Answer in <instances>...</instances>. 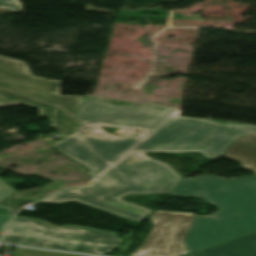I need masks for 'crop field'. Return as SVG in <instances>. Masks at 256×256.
Segmentation results:
<instances>
[{"mask_svg":"<svg viewBox=\"0 0 256 256\" xmlns=\"http://www.w3.org/2000/svg\"><path fill=\"white\" fill-rule=\"evenodd\" d=\"M176 110L157 105L114 106L84 98L75 119L84 125L107 124L153 129L133 152H195L215 160L239 137L256 133V125L226 126L201 119L170 116Z\"/></svg>","mask_w":256,"mask_h":256,"instance_id":"8a807250","label":"crop field"},{"mask_svg":"<svg viewBox=\"0 0 256 256\" xmlns=\"http://www.w3.org/2000/svg\"><path fill=\"white\" fill-rule=\"evenodd\" d=\"M170 194L200 197L219 208L194 217L186 239L189 253L256 231V177L181 179Z\"/></svg>","mask_w":256,"mask_h":256,"instance_id":"ac0d7876","label":"crop field"},{"mask_svg":"<svg viewBox=\"0 0 256 256\" xmlns=\"http://www.w3.org/2000/svg\"><path fill=\"white\" fill-rule=\"evenodd\" d=\"M9 237L2 242L28 246L67 249L95 254H108L122 238L117 233L88 227H56L43 220L15 217L7 229Z\"/></svg>","mask_w":256,"mask_h":256,"instance_id":"34b2d1b8","label":"crop field"},{"mask_svg":"<svg viewBox=\"0 0 256 256\" xmlns=\"http://www.w3.org/2000/svg\"><path fill=\"white\" fill-rule=\"evenodd\" d=\"M59 81L31 74L26 63L0 56V88L12 91L52 106L0 90V106L25 105L41 110L40 115L52 119L60 95Z\"/></svg>","mask_w":256,"mask_h":256,"instance_id":"412701ff","label":"crop field"},{"mask_svg":"<svg viewBox=\"0 0 256 256\" xmlns=\"http://www.w3.org/2000/svg\"><path fill=\"white\" fill-rule=\"evenodd\" d=\"M135 154L137 153L127 152L113 164L114 167L124 174L129 186L104 197L103 200L148 215L152 212L125 202L121 200V197L127 194L169 193L177 185L181 177L170 166L153 159L128 164L127 161Z\"/></svg>","mask_w":256,"mask_h":256,"instance_id":"f4fd0767","label":"crop field"},{"mask_svg":"<svg viewBox=\"0 0 256 256\" xmlns=\"http://www.w3.org/2000/svg\"><path fill=\"white\" fill-rule=\"evenodd\" d=\"M195 214L157 211L144 244L130 256H179L187 254L185 239Z\"/></svg>","mask_w":256,"mask_h":256,"instance_id":"dd49c442","label":"crop field"},{"mask_svg":"<svg viewBox=\"0 0 256 256\" xmlns=\"http://www.w3.org/2000/svg\"><path fill=\"white\" fill-rule=\"evenodd\" d=\"M108 178L114 179L115 184L110 186H103L102 184L105 183L106 179ZM124 186H126V183L123 179V176L111 166L92 185L69 189L42 201L64 202L75 200L80 203L139 222L146 216L141 213L120 206H116L101 200L102 196Z\"/></svg>","mask_w":256,"mask_h":256,"instance_id":"e52e79f7","label":"crop field"},{"mask_svg":"<svg viewBox=\"0 0 256 256\" xmlns=\"http://www.w3.org/2000/svg\"><path fill=\"white\" fill-rule=\"evenodd\" d=\"M53 147L65 153L70 158L85 164L90 169L92 180L110 165L75 136L62 141Z\"/></svg>","mask_w":256,"mask_h":256,"instance_id":"d8731c3e","label":"crop field"},{"mask_svg":"<svg viewBox=\"0 0 256 256\" xmlns=\"http://www.w3.org/2000/svg\"><path fill=\"white\" fill-rule=\"evenodd\" d=\"M75 134L83 139L89 146H91L111 164L143 138L129 135H126L122 139L99 138L92 137L79 129Z\"/></svg>","mask_w":256,"mask_h":256,"instance_id":"5a996713","label":"crop field"},{"mask_svg":"<svg viewBox=\"0 0 256 256\" xmlns=\"http://www.w3.org/2000/svg\"><path fill=\"white\" fill-rule=\"evenodd\" d=\"M189 256H256V233L190 254Z\"/></svg>","mask_w":256,"mask_h":256,"instance_id":"3316defc","label":"crop field"},{"mask_svg":"<svg viewBox=\"0 0 256 256\" xmlns=\"http://www.w3.org/2000/svg\"><path fill=\"white\" fill-rule=\"evenodd\" d=\"M222 156L241 162V166L252 169L256 175V134L239 138Z\"/></svg>","mask_w":256,"mask_h":256,"instance_id":"28ad6ade","label":"crop field"},{"mask_svg":"<svg viewBox=\"0 0 256 256\" xmlns=\"http://www.w3.org/2000/svg\"><path fill=\"white\" fill-rule=\"evenodd\" d=\"M52 121L51 126L64 137L71 135L81 125L58 107Z\"/></svg>","mask_w":256,"mask_h":256,"instance_id":"d1516ede","label":"crop field"},{"mask_svg":"<svg viewBox=\"0 0 256 256\" xmlns=\"http://www.w3.org/2000/svg\"><path fill=\"white\" fill-rule=\"evenodd\" d=\"M82 102V98L79 96H60L57 106H60L74 118Z\"/></svg>","mask_w":256,"mask_h":256,"instance_id":"22f410ed","label":"crop field"},{"mask_svg":"<svg viewBox=\"0 0 256 256\" xmlns=\"http://www.w3.org/2000/svg\"><path fill=\"white\" fill-rule=\"evenodd\" d=\"M13 256H82V255L16 248Z\"/></svg>","mask_w":256,"mask_h":256,"instance_id":"cbeb9de0","label":"crop field"},{"mask_svg":"<svg viewBox=\"0 0 256 256\" xmlns=\"http://www.w3.org/2000/svg\"><path fill=\"white\" fill-rule=\"evenodd\" d=\"M99 126L101 125H91V126H82L79 129L93 135V136H99V137H109V138H122L124 136H120V137H114L111 136L107 133H105L104 131L99 129ZM107 126V125H106Z\"/></svg>","mask_w":256,"mask_h":256,"instance_id":"5142ce71","label":"crop field"},{"mask_svg":"<svg viewBox=\"0 0 256 256\" xmlns=\"http://www.w3.org/2000/svg\"><path fill=\"white\" fill-rule=\"evenodd\" d=\"M15 190L0 180V200L13 194Z\"/></svg>","mask_w":256,"mask_h":256,"instance_id":"d9b57169","label":"crop field"},{"mask_svg":"<svg viewBox=\"0 0 256 256\" xmlns=\"http://www.w3.org/2000/svg\"><path fill=\"white\" fill-rule=\"evenodd\" d=\"M14 0H0V6L3 7H8L17 11H22V8L20 6H16L14 4L8 3V2H12Z\"/></svg>","mask_w":256,"mask_h":256,"instance_id":"733c2abd","label":"crop field"},{"mask_svg":"<svg viewBox=\"0 0 256 256\" xmlns=\"http://www.w3.org/2000/svg\"><path fill=\"white\" fill-rule=\"evenodd\" d=\"M11 218L12 216H9V215H4V216L0 215V232L4 230V228L6 227L7 223L11 220Z\"/></svg>","mask_w":256,"mask_h":256,"instance_id":"4a817a6b","label":"crop field"},{"mask_svg":"<svg viewBox=\"0 0 256 256\" xmlns=\"http://www.w3.org/2000/svg\"><path fill=\"white\" fill-rule=\"evenodd\" d=\"M144 155H145V153H138L130 161H128V163L139 161V160H144V159H149V158L144 157Z\"/></svg>","mask_w":256,"mask_h":256,"instance_id":"bc2a9ffb","label":"crop field"},{"mask_svg":"<svg viewBox=\"0 0 256 256\" xmlns=\"http://www.w3.org/2000/svg\"><path fill=\"white\" fill-rule=\"evenodd\" d=\"M144 130V132L142 134H140L139 136H145L148 132H150L151 130L148 129H142Z\"/></svg>","mask_w":256,"mask_h":256,"instance_id":"214f88e0","label":"crop field"},{"mask_svg":"<svg viewBox=\"0 0 256 256\" xmlns=\"http://www.w3.org/2000/svg\"><path fill=\"white\" fill-rule=\"evenodd\" d=\"M110 184H114V181H113V180L108 179V180H107V183H105V184H103V185H110Z\"/></svg>","mask_w":256,"mask_h":256,"instance_id":"92a150f3","label":"crop field"},{"mask_svg":"<svg viewBox=\"0 0 256 256\" xmlns=\"http://www.w3.org/2000/svg\"><path fill=\"white\" fill-rule=\"evenodd\" d=\"M110 166H111V165H110ZM110 166H109V167H110ZM109 167H108V168H109ZM108 168H107V169H108ZM107 169H106V170H107ZM104 171H105V170H104ZM104 171H103V172H104ZM103 172H102V173H103ZM102 173H101V174H102ZM101 174H100V175H101ZM100 175H99V176H100ZM99 176H98V177H99ZM98 177H97V178H98ZM97 178H95L92 182H94Z\"/></svg>","mask_w":256,"mask_h":256,"instance_id":"dafd665d","label":"crop field"},{"mask_svg":"<svg viewBox=\"0 0 256 256\" xmlns=\"http://www.w3.org/2000/svg\"><path fill=\"white\" fill-rule=\"evenodd\" d=\"M178 114H179V111L177 110L174 114H172V115H177L178 116Z\"/></svg>","mask_w":256,"mask_h":256,"instance_id":"00972430","label":"crop field"},{"mask_svg":"<svg viewBox=\"0 0 256 256\" xmlns=\"http://www.w3.org/2000/svg\"><path fill=\"white\" fill-rule=\"evenodd\" d=\"M84 142V141H83ZM91 148V147H90ZM92 149V148H91ZM93 150V149H92ZM94 151V150H93ZM97 153V152H96ZM98 154V153H97ZM99 155V154H98ZM100 156V155H99ZM103 158V157H102ZM104 159V158H103ZM105 160V159H104ZM109 163V162H108ZM116 169V168H115ZM121 173V172H120ZM122 174V173H121ZM123 175V174H122ZM127 187V186H126Z\"/></svg>","mask_w":256,"mask_h":256,"instance_id":"a9b5d70f","label":"crop field"},{"mask_svg":"<svg viewBox=\"0 0 256 256\" xmlns=\"http://www.w3.org/2000/svg\"><path fill=\"white\" fill-rule=\"evenodd\" d=\"M9 233H10V232H7V231H6L4 235L8 236V235H9Z\"/></svg>","mask_w":256,"mask_h":256,"instance_id":"4177f3b9","label":"crop field"},{"mask_svg":"<svg viewBox=\"0 0 256 256\" xmlns=\"http://www.w3.org/2000/svg\"><path fill=\"white\" fill-rule=\"evenodd\" d=\"M72 136V135H71ZM70 137V136H69ZM68 138V137H67ZM66 139V138H65ZM64 140V139H63ZM62 141V140H61ZM60 142V141H59Z\"/></svg>","mask_w":256,"mask_h":256,"instance_id":"730fd06b","label":"crop field"}]
</instances>
